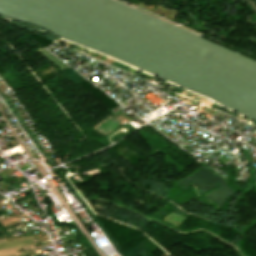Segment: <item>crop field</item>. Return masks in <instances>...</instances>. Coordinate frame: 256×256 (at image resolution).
<instances>
[{"label": "crop field", "mask_w": 256, "mask_h": 256, "mask_svg": "<svg viewBox=\"0 0 256 256\" xmlns=\"http://www.w3.org/2000/svg\"><path fill=\"white\" fill-rule=\"evenodd\" d=\"M5 243H6V247L10 248V247L34 244V239L30 238V239H23V240H15V241H8V242H5ZM5 243L4 242L0 243V249L1 248H6Z\"/></svg>", "instance_id": "8a807250"}, {"label": "crop field", "mask_w": 256, "mask_h": 256, "mask_svg": "<svg viewBox=\"0 0 256 256\" xmlns=\"http://www.w3.org/2000/svg\"><path fill=\"white\" fill-rule=\"evenodd\" d=\"M13 252H17V251H16V250H13V251H5V252H0V254L13 253Z\"/></svg>", "instance_id": "ac0d7876"}, {"label": "crop field", "mask_w": 256, "mask_h": 256, "mask_svg": "<svg viewBox=\"0 0 256 256\" xmlns=\"http://www.w3.org/2000/svg\"><path fill=\"white\" fill-rule=\"evenodd\" d=\"M28 246H31V245H28ZM28 246H22V247H28ZM22 247H16V248H22ZM16 248H10V249H16ZM10 249H7V250H10ZM6 249H3V250H0V251H4Z\"/></svg>", "instance_id": "34b2d1b8"}, {"label": "crop field", "mask_w": 256, "mask_h": 256, "mask_svg": "<svg viewBox=\"0 0 256 256\" xmlns=\"http://www.w3.org/2000/svg\"><path fill=\"white\" fill-rule=\"evenodd\" d=\"M12 255H17V254L14 253V254H6V255H0V256H12Z\"/></svg>", "instance_id": "412701ff"}, {"label": "crop field", "mask_w": 256, "mask_h": 256, "mask_svg": "<svg viewBox=\"0 0 256 256\" xmlns=\"http://www.w3.org/2000/svg\"><path fill=\"white\" fill-rule=\"evenodd\" d=\"M0 241H3L2 239H0Z\"/></svg>", "instance_id": "f4fd0767"}]
</instances>
